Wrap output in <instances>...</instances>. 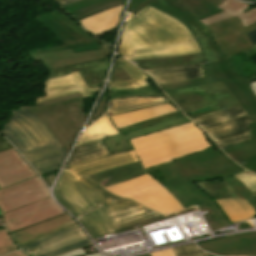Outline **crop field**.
I'll list each match as a JSON object with an SVG mask.
<instances>
[{
	"instance_id": "1",
	"label": "crop field",
	"mask_w": 256,
	"mask_h": 256,
	"mask_svg": "<svg viewBox=\"0 0 256 256\" xmlns=\"http://www.w3.org/2000/svg\"><path fill=\"white\" fill-rule=\"evenodd\" d=\"M137 160L139 159L132 150L75 165L63 171L54 196L75 218L104 205L78 220L92 239L115 231L119 233L134 229L131 226L115 230L109 216L142 206L114 196L86 176Z\"/></svg>"
},
{
	"instance_id": "2",
	"label": "crop field",
	"mask_w": 256,
	"mask_h": 256,
	"mask_svg": "<svg viewBox=\"0 0 256 256\" xmlns=\"http://www.w3.org/2000/svg\"><path fill=\"white\" fill-rule=\"evenodd\" d=\"M0 133L23 154L39 176L59 170L67 155L46 125L22 106Z\"/></svg>"
},
{
	"instance_id": "3",
	"label": "crop field",
	"mask_w": 256,
	"mask_h": 256,
	"mask_svg": "<svg viewBox=\"0 0 256 256\" xmlns=\"http://www.w3.org/2000/svg\"><path fill=\"white\" fill-rule=\"evenodd\" d=\"M145 169L214 147L195 124H185L129 140Z\"/></svg>"
},
{
	"instance_id": "4",
	"label": "crop field",
	"mask_w": 256,
	"mask_h": 256,
	"mask_svg": "<svg viewBox=\"0 0 256 256\" xmlns=\"http://www.w3.org/2000/svg\"><path fill=\"white\" fill-rule=\"evenodd\" d=\"M193 40L183 24L148 5L128 20L118 53L126 57L133 50Z\"/></svg>"
},
{
	"instance_id": "5",
	"label": "crop field",
	"mask_w": 256,
	"mask_h": 256,
	"mask_svg": "<svg viewBox=\"0 0 256 256\" xmlns=\"http://www.w3.org/2000/svg\"><path fill=\"white\" fill-rule=\"evenodd\" d=\"M204 76L208 82L222 81L227 89L239 101L243 109L251 117L253 123L248 124L254 138L221 149L237 162L256 154V97L251 92L249 79L235 75L228 67L227 61L202 64Z\"/></svg>"
},
{
	"instance_id": "6",
	"label": "crop field",
	"mask_w": 256,
	"mask_h": 256,
	"mask_svg": "<svg viewBox=\"0 0 256 256\" xmlns=\"http://www.w3.org/2000/svg\"><path fill=\"white\" fill-rule=\"evenodd\" d=\"M22 106L40 118L68 152L85 120L81 94L57 98L30 107L25 104Z\"/></svg>"
},
{
	"instance_id": "7",
	"label": "crop field",
	"mask_w": 256,
	"mask_h": 256,
	"mask_svg": "<svg viewBox=\"0 0 256 256\" xmlns=\"http://www.w3.org/2000/svg\"><path fill=\"white\" fill-rule=\"evenodd\" d=\"M166 93L183 113L191 119L239 106L238 101L225 88L222 82Z\"/></svg>"
},
{
	"instance_id": "8",
	"label": "crop field",
	"mask_w": 256,
	"mask_h": 256,
	"mask_svg": "<svg viewBox=\"0 0 256 256\" xmlns=\"http://www.w3.org/2000/svg\"><path fill=\"white\" fill-rule=\"evenodd\" d=\"M219 147L252 138L246 124L251 123L241 106L193 119Z\"/></svg>"
},
{
	"instance_id": "9",
	"label": "crop field",
	"mask_w": 256,
	"mask_h": 256,
	"mask_svg": "<svg viewBox=\"0 0 256 256\" xmlns=\"http://www.w3.org/2000/svg\"><path fill=\"white\" fill-rule=\"evenodd\" d=\"M106 189L117 196L134 200L164 215L182 209L167 190L148 174Z\"/></svg>"
},
{
	"instance_id": "10",
	"label": "crop field",
	"mask_w": 256,
	"mask_h": 256,
	"mask_svg": "<svg viewBox=\"0 0 256 256\" xmlns=\"http://www.w3.org/2000/svg\"><path fill=\"white\" fill-rule=\"evenodd\" d=\"M177 165L159 170L165 181L218 174L228 176L241 172L214 148L174 160Z\"/></svg>"
},
{
	"instance_id": "11",
	"label": "crop field",
	"mask_w": 256,
	"mask_h": 256,
	"mask_svg": "<svg viewBox=\"0 0 256 256\" xmlns=\"http://www.w3.org/2000/svg\"><path fill=\"white\" fill-rule=\"evenodd\" d=\"M93 245L76 224L36 241L20 245L28 256H60Z\"/></svg>"
},
{
	"instance_id": "12",
	"label": "crop field",
	"mask_w": 256,
	"mask_h": 256,
	"mask_svg": "<svg viewBox=\"0 0 256 256\" xmlns=\"http://www.w3.org/2000/svg\"><path fill=\"white\" fill-rule=\"evenodd\" d=\"M65 212L51 198H46L20 209L4 213L5 226L9 232L42 223Z\"/></svg>"
},
{
	"instance_id": "13",
	"label": "crop field",
	"mask_w": 256,
	"mask_h": 256,
	"mask_svg": "<svg viewBox=\"0 0 256 256\" xmlns=\"http://www.w3.org/2000/svg\"><path fill=\"white\" fill-rule=\"evenodd\" d=\"M207 27L215 44L226 55L227 59L252 46L238 18L233 17Z\"/></svg>"
},
{
	"instance_id": "14",
	"label": "crop field",
	"mask_w": 256,
	"mask_h": 256,
	"mask_svg": "<svg viewBox=\"0 0 256 256\" xmlns=\"http://www.w3.org/2000/svg\"><path fill=\"white\" fill-rule=\"evenodd\" d=\"M35 20L38 21L41 25H43L51 33H53L61 41L63 45L36 51H30L29 53L63 49H72L74 53H77L102 49L95 37H93L91 40L87 42L77 33L71 30L68 26L62 23L59 19L53 16L50 12L41 15Z\"/></svg>"
},
{
	"instance_id": "15",
	"label": "crop field",
	"mask_w": 256,
	"mask_h": 256,
	"mask_svg": "<svg viewBox=\"0 0 256 256\" xmlns=\"http://www.w3.org/2000/svg\"><path fill=\"white\" fill-rule=\"evenodd\" d=\"M37 176L13 146L0 136V189ZM1 213L0 210V216Z\"/></svg>"
},
{
	"instance_id": "16",
	"label": "crop field",
	"mask_w": 256,
	"mask_h": 256,
	"mask_svg": "<svg viewBox=\"0 0 256 256\" xmlns=\"http://www.w3.org/2000/svg\"><path fill=\"white\" fill-rule=\"evenodd\" d=\"M49 196L43 181L37 177L0 190V208L4 213Z\"/></svg>"
},
{
	"instance_id": "17",
	"label": "crop field",
	"mask_w": 256,
	"mask_h": 256,
	"mask_svg": "<svg viewBox=\"0 0 256 256\" xmlns=\"http://www.w3.org/2000/svg\"><path fill=\"white\" fill-rule=\"evenodd\" d=\"M168 192L185 208L193 205L208 207L213 213L208 218H215L219 227L223 228L231 225V222L216 204L205 192H203L194 183L172 186L166 188Z\"/></svg>"
},
{
	"instance_id": "18",
	"label": "crop field",
	"mask_w": 256,
	"mask_h": 256,
	"mask_svg": "<svg viewBox=\"0 0 256 256\" xmlns=\"http://www.w3.org/2000/svg\"><path fill=\"white\" fill-rule=\"evenodd\" d=\"M104 50L73 54L71 50L52 51L30 54L33 61L44 62L47 70L62 66L80 64L85 62L108 59L111 55L112 46L103 42L100 44Z\"/></svg>"
},
{
	"instance_id": "19",
	"label": "crop field",
	"mask_w": 256,
	"mask_h": 256,
	"mask_svg": "<svg viewBox=\"0 0 256 256\" xmlns=\"http://www.w3.org/2000/svg\"><path fill=\"white\" fill-rule=\"evenodd\" d=\"M199 247L220 256H256V233L202 243Z\"/></svg>"
},
{
	"instance_id": "20",
	"label": "crop field",
	"mask_w": 256,
	"mask_h": 256,
	"mask_svg": "<svg viewBox=\"0 0 256 256\" xmlns=\"http://www.w3.org/2000/svg\"><path fill=\"white\" fill-rule=\"evenodd\" d=\"M171 165H175L174 161L145 170L141 162L138 161L90 175L88 177L98 183L102 188H106Z\"/></svg>"
},
{
	"instance_id": "21",
	"label": "crop field",
	"mask_w": 256,
	"mask_h": 256,
	"mask_svg": "<svg viewBox=\"0 0 256 256\" xmlns=\"http://www.w3.org/2000/svg\"><path fill=\"white\" fill-rule=\"evenodd\" d=\"M108 64L109 59L48 70L46 80L69 75L72 72L80 71L88 89L101 87L102 83L105 80Z\"/></svg>"
},
{
	"instance_id": "22",
	"label": "crop field",
	"mask_w": 256,
	"mask_h": 256,
	"mask_svg": "<svg viewBox=\"0 0 256 256\" xmlns=\"http://www.w3.org/2000/svg\"><path fill=\"white\" fill-rule=\"evenodd\" d=\"M99 89L87 90L80 73L77 72L69 76L46 81L45 94L47 96L37 98L36 103L77 93H81L83 97H86L90 96L89 91Z\"/></svg>"
},
{
	"instance_id": "23",
	"label": "crop field",
	"mask_w": 256,
	"mask_h": 256,
	"mask_svg": "<svg viewBox=\"0 0 256 256\" xmlns=\"http://www.w3.org/2000/svg\"><path fill=\"white\" fill-rule=\"evenodd\" d=\"M76 224L68 214L51 219L42 224L10 233L15 242L20 245L44 237L54 231Z\"/></svg>"
},
{
	"instance_id": "24",
	"label": "crop field",
	"mask_w": 256,
	"mask_h": 256,
	"mask_svg": "<svg viewBox=\"0 0 256 256\" xmlns=\"http://www.w3.org/2000/svg\"><path fill=\"white\" fill-rule=\"evenodd\" d=\"M190 122L191 121L188 118L183 116V117H179V118H175V119L163 122V123L155 125V126L148 127L143 130L127 133V135L124 137L122 135H119L117 137L102 140V141L106 145V147L108 148V150L110 151L111 154L128 151V150L133 149L132 146L127 141L129 139L136 138V137L143 136V135L150 134V133H154L159 130L172 128V127H175V126H178L181 124L190 123Z\"/></svg>"
},
{
	"instance_id": "25",
	"label": "crop field",
	"mask_w": 256,
	"mask_h": 256,
	"mask_svg": "<svg viewBox=\"0 0 256 256\" xmlns=\"http://www.w3.org/2000/svg\"><path fill=\"white\" fill-rule=\"evenodd\" d=\"M217 204L232 222V224L244 220L254 219L256 215L252 206L236 192L215 199Z\"/></svg>"
},
{
	"instance_id": "26",
	"label": "crop field",
	"mask_w": 256,
	"mask_h": 256,
	"mask_svg": "<svg viewBox=\"0 0 256 256\" xmlns=\"http://www.w3.org/2000/svg\"><path fill=\"white\" fill-rule=\"evenodd\" d=\"M176 111L169 103L109 116L116 129Z\"/></svg>"
},
{
	"instance_id": "27",
	"label": "crop field",
	"mask_w": 256,
	"mask_h": 256,
	"mask_svg": "<svg viewBox=\"0 0 256 256\" xmlns=\"http://www.w3.org/2000/svg\"><path fill=\"white\" fill-rule=\"evenodd\" d=\"M195 184L198 185L213 199L236 191L240 195H242L256 210V193L253 194L252 192H250L247 188H245L238 180L234 179L232 176L222 180V183L211 184L208 181H205V182H197Z\"/></svg>"
},
{
	"instance_id": "28",
	"label": "crop field",
	"mask_w": 256,
	"mask_h": 256,
	"mask_svg": "<svg viewBox=\"0 0 256 256\" xmlns=\"http://www.w3.org/2000/svg\"><path fill=\"white\" fill-rule=\"evenodd\" d=\"M125 6V5H124ZM124 6L116 7L114 9H109L103 11L99 14L88 17L84 20L79 21L83 28L87 31L100 36L116 27L121 19V15Z\"/></svg>"
},
{
	"instance_id": "29",
	"label": "crop field",
	"mask_w": 256,
	"mask_h": 256,
	"mask_svg": "<svg viewBox=\"0 0 256 256\" xmlns=\"http://www.w3.org/2000/svg\"><path fill=\"white\" fill-rule=\"evenodd\" d=\"M198 52H200V50L196 42H192L134 51L133 56L127 57L126 59L133 61L141 59L165 58Z\"/></svg>"
},
{
	"instance_id": "30",
	"label": "crop field",
	"mask_w": 256,
	"mask_h": 256,
	"mask_svg": "<svg viewBox=\"0 0 256 256\" xmlns=\"http://www.w3.org/2000/svg\"><path fill=\"white\" fill-rule=\"evenodd\" d=\"M145 72L151 75L158 85L204 77L200 65L147 70Z\"/></svg>"
},
{
	"instance_id": "31",
	"label": "crop field",
	"mask_w": 256,
	"mask_h": 256,
	"mask_svg": "<svg viewBox=\"0 0 256 256\" xmlns=\"http://www.w3.org/2000/svg\"><path fill=\"white\" fill-rule=\"evenodd\" d=\"M246 6L247 4L245 3L237 2L234 0H226L220 6H218V8L224 10L225 12L202 20L200 23L207 26L212 23L235 16L240 18V21L244 27L249 26L256 22V9L245 14L240 12L242 9L246 8Z\"/></svg>"
},
{
	"instance_id": "32",
	"label": "crop field",
	"mask_w": 256,
	"mask_h": 256,
	"mask_svg": "<svg viewBox=\"0 0 256 256\" xmlns=\"http://www.w3.org/2000/svg\"><path fill=\"white\" fill-rule=\"evenodd\" d=\"M188 24L197 32L194 38L207 63L224 60L225 55L214 44L208 29L201 25L197 20L188 22Z\"/></svg>"
},
{
	"instance_id": "33",
	"label": "crop field",
	"mask_w": 256,
	"mask_h": 256,
	"mask_svg": "<svg viewBox=\"0 0 256 256\" xmlns=\"http://www.w3.org/2000/svg\"><path fill=\"white\" fill-rule=\"evenodd\" d=\"M142 70L165 68V67H176V66H188L206 63L202 54H191L185 56L171 57L165 59H154V60H142L132 62Z\"/></svg>"
},
{
	"instance_id": "34",
	"label": "crop field",
	"mask_w": 256,
	"mask_h": 256,
	"mask_svg": "<svg viewBox=\"0 0 256 256\" xmlns=\"http://www.w3.org/2000/svg\"><path fill=\"white\" fill-rule=\"evenodd\" d=\"M119 66H122L133 80L111 83L110 85L111 90L137 89V88L149 86L145 80L148 78L146 74L141 72L131 63L127 62L122 58H118L115 60V64L113 68L119 67Z\"/></svg>"
},
{
	"instance_id": "35",
	"label": "crop field",
	"mask_w": 256,
	"mask_h": 256,
	"mask_svg": "<svg viewBox=\"0 0 256 256\" xmlns=\"http://www.w3.org/2000/svg\"><path fill=\"white\" fill-rule=\"evenodd\" d=\"M109 155L107 148L102 141H96L89 144L75 147L71 157L66 164L65 168L75 164L86 162L89 160L97 159ZM64 168V169H65Z\"/></svg>"
},
{
	"instance_id": "36",
	"label": "crop field",
	"mask_w": 256,
	"mask_h": 256,
	"mask_svg": "<svg viewBox=\"0 0 256 256\" xmlns=\"http://www.w3.org/2000/svg\"><path fill=\"white\" fill-rule=\"evenodd\" d=\"M168 101L164 97L153 98H130V99H113L110 100L108 115L120 112L165 104Z\"/></svg>"
},
{
	"instance_id": "37",
	"label": "crop field",
	"mask_w": 256,
	"mask_h": 256,
	"mask_svg": "<svg viewBox=\"0 0 256 256\" xmlns=\"http://www.w3.org/2000/svg\"><path fill=\"white\" fill-rule=\"evenodd\" d=\"M116 135H118V132L106 114L84 131L78 145Z\"/></svg>"
},
{
	"instance_id": "38",
	"label": "crop field",
	"mask_w": 256,
	"mask_h": 256,
	"mask_svg": "<svg viewBox=\"0 0 256 256\" xmlns=\"http://www.w3.org/2000/svg\"><path fill=\"white\" fill-rule=\"evenodd\" d=\"M224 0H179L177 1L199 21L222 12L216 7Z\"/></svg>"
},
{
	"instance_id": "39",
	"label": "crop field",
	"mask_w": 256,
	"mask_h": 256,
	"mask_svg": "<svg viewBox=\"0 0 256 256\" xmlns=\"http://www.w3.org/2000/svg\"><path fill=\"white\" fill-rule=\"evenodd\" d=\"M158 216L161 215L142 207L127 213L111 216V219L114 223L115 228L118 229L134 225L144 220L152 219Z\"/></svg>"
},
{
	"instance_id": "40",
	"label": "crop field",
	"mask_w": 256,
	"mask_h": 256,
	"mask_svg": "<svg viewBox=\"0 0 256 256\" xmlns=\"http://www.w3.org/2000/svg\"><path fill=\"white\" fill-rule=\"evenodd\" d=\"M125 4V0H103L85 8L69 12L77 21L84 19L88 16L113 8L115 6Z\"/></svg>"
},
{
	"instance_id": "41",
	"label": "crop field",
	"mask_w": 256,
	"mask_h": 256,
	"mask_svg": "<svg viewBox=\"0 0 256 256\" xmlns=\"http://www.w3.org/2000/svg\"><path fill=\"white\" fill-rule=\"evenodd\" d=\"M149 5H151L155 9L179 20L188 28V30L192 33V35L196 34L195 31L186 23L188 21L195 20V18L188 11L183 9L182 6H180L178 3H176V2L172 3L163 9L152 4V3Z\"/></svg>"
},
{
	"instance_id": "42",
	"label": "crop field",
	"mask_w": 256,
	"mask_h": 256,
	"mask_svg": "<svg viewBox=\"0 0 256 256\" xmlns=\"http://www.w3.org/2000/svg\"><path fill=\"white\" fill-rule=\"evenodd\" d=\"M152 96H164L154 91L150 87L138 89V90H126V91H111L110 99L112 98H130V97H152Z\"/></svg>"
},
{
	"instance_id": "43",
	"label": "crop field",
	"mask_w": 256,
	"mask_h": 256,
	"mask_svg": "<svg viewBox=\"0 0 256 256\" xmlns=\"http://www.w3.org/2000/svg\"><path fill=\"white\" fill-rule=\"evenodd\" d=\"M179 116H183V114L180 111H177L175 113L169 114V115H165L159 118H155L152 120H148L146 122L140 123V124H136L127 128H123V129H119L118 132L119 134H124L127 132H131V131H135V130H139V129H143L146 128L148 126L154 125V124H158L161 123L163 121L175 118V117H179Z\"/></svg>"
},
{
	"instance_id": "44",
	"label": "crop field",
	"mask_w": 256,
	"mask_h": 256,
	"mask_svg": "<svg viewBox=\"0 0 256 256\" xmlns=\"http://www.w3.org/2000/svg\"><path fill=\"white\" fill-rule=\"evenodd\" d=\"M16 249H19V247L15 244V242L11 238L8 231L6 229L1 230L0 231V255Z\"/></svg>"
},
{
	"instance_id": "45",
	"label": "crop field",
	"mask_w": 256,
	"mask_h": 256,
	"mask_svg": "<svg viewBox=\"0 0 256 256\" xmlns=\"http://www.w3.org/2000/svg\"><path fill=\"white\" fill-rule=\"evenodd\" d=\"M51 13L55 15L57 18H59L62 22L68 25L71 29H73L75 32H77L80 36H82L87 41L92 38L91 36L88 35L87 32H85L86 30L84 31L81 26H78L77 24H75L73 21H71L69 18H67L57 9L52 11Z\"/></svg>"
},
{
	"instance_id": "46",
	"label": "crop field",
	"mask_w": 256,
	"mask_h": 256,
	"mask_svg": "<svg viewBox=\"0 0 256 256\" xmlns=\"http://www.w3.org/2000/svg\"><path fill=\"white\" fill-rule=\"evenodd\" d=\"M207 84L205 79H196V80H190V81H184L179 83H173V84H167V85H161L160 87L164 91L169 90H175V89H181V88H187V87H193V86H199V85H205Z\"/></svg>"
},
{
	"instance_id": "47",
	"label": "crop field",
	"mask_w": 256,
	"mask_h": 256,
	"mask_svg": "<svg viewBox=\"0 0 256 256\" xmlns=\"http://www.w3.org/2000/svg\"><path fill=\"white\" fill-rule=\"evenodd\" d=\"M173 251L175 252L176 256H207L206 253L201 251L194 244L174 248Z\"/></svg>"
},
{
	"instance_id": "48",
	"label": "crop field",
	"mask_w": 256,
	"mask_h": 256,
	"mask_svg": "<svg viewBox=\"0 0 256 256\" xmlns=\"http://www.w3.org/2000/svg\"><path fill=\"white\" fill-rule=\"evenodd\" d=\"M233 177L238 179L244 186H246L253 193L256 192V175L247 171L245 173L234 175Z\"/></svg>"
},
{
	"instance_id": "49",
	"label": "crop field",
	"mask_w": 256,
	"mask_h": 256,
	"mask_svg": "<svg viewBox=\"0 0 256 256\" xmlns=\"http://www.w3.org/2000/svg\"><path fill=\"white\" fill-rule=\"evenodd\" d=\"M131 79L129 75L124 71L122 67L115 68L112 70V74L110 77V82L121 81V80H129Z\"/></svg>"
},
{
	"instance_id": "50",
	"label": "crop field",
	"mask_w": 256,
	"mask_h": 256,
	"mask_svg": "<svg viewBox=\"0 0 256 256\" xmlns=\"http://www.w3.org/2000/svg\"><path fill=\"white\" fill-rule=\"evenodd\" d=\"M100 0H82V1H78L70 6L67 7H63V9H65L67 12L75 10V9H79L82 7H85L87 5H90L92 3L98 2Z\"/></svg>"
},
{
	"instance_id": "51",
	"label": "crop field",
	"mask_w": 256,
	"mask_h": 256,
	"mask_svg": "<svg viewBox=\"0 0 256 256\" xmlns=\"http://www.w3.org/2000/svg\"><path fill=\"white\" fill-rule=\"evenodd\" d=\"M244 163L242 164L241 161L237 162L246 169L256 173V155L245 160H242Z\"/></svg>"
},
{
	"instance_id": "52",
	"label": "crop field",
	"mask_w": 256,
	"mask_h": 256,
	"mask_svg": "<svg viewBox=\"0 0 256 256\" xmlns=\"http://www.w3.org/2000/svg\"><path fill=\"white\" fill-rule=\"evenodd\" d=\"M106 99L107 98L101 97L89 123L92 122L93 120H95L103 112V110L105 108Z\"/></svg>"
},
{
	"instance_id": "53",
	"label": "crop field",
	"mask_w": 256,
	"mask_h": 256,
	"mask_svg": "<svg viewBox=\"0 0 256 256\" xmlns=\"http://www.w3.org/2000/svg\"><path fill=\"white\" fill-rule=\"evenodd\" d=\"M223 177L222 174H218V175H210V176H202V177H194L192 178L193 182H197V181H205V180H211V179H218Z\"/></svg>"
},
{
	"instance_id": "54",
	"label": "crop field",
	"mask_w": 256,
	"mask_h": 256,
	"mask_svg": "<svg viewBox=\"0 0 256 256\" xmlns=\"http://www.w3.org/2000/svg\"><path fill=\"white\" fill-rule=\"evenodd\" d=\"M153 0H145L142 2L140 5L135 7L133 10H131L130 17L131 18L133 15H135L137 12H139L141 9H143L145 6H147L149 3H151Z\"/></svg>"
},
{
	"instance_id": "55",
	"label": "crop field",
	"mask_w": 256,
	"mask_h": 256,
	"mask_svg": "<svg viewBox=\"0 0 256 256\" xmlns=\"http://www.w3.org/2000/svg\"><path fill=\"white\" fill-rule=\"evenodd\" d=\"M151 256H175L172 249L151 253Z\"/></svg>"
},
{
	"instance_id": "56",
	"label": "crop field",
	"mask_w": 256,
	"mask_h": 256,
	"mask_svg": "<svg viewBox=\"0 0 256 256\" xmlns=\"http://www.w3.org/2000/svg\"><path fill=\"white\" fill-rule=\"evenodd\" d=\"M174 1H176V0H155L152 3H154V4H156V5H158V6L163 8L164 6L170 4V3L174 2Z\"/></svg>"
},
{
	"instance_id": "57",
	"label": "crop field",
	"mask_w": 256,
	"mask_h": 256,
	"mask_svg": "<svg viewBox=\"0 0 256 256\" xmlns=\"http://www.w3.org/2000/svg\"><path fill=\"white\" fill-rule=\"evenodd\" d=\"M83 255H86V254L83 249H80V250H75L71 253L65 254L63 256H83Z\"/></svg>"
},
{
	"instance_id": "58",
	"label": "crop field",
	"mask_w": 256,
	"mask_h": 256,
	"mask_svg": "<svg viewBox=\"0 0 256 256\" xmlns=\"http://www.w3.org/2000/svg\"><path fill=\"white\" fill-rule=\"evenodd\" d=\"M75 1H78V0H59V1H56L57 4H59L61 7L63 6H67Z\"/></svg>"
},
{
	"instance_id": "59",
	"label": "crop field",
	"mask_w": 256,
	"mask_h": 256,
	"mask_svg": "<svg viewBox=\"0 0 256 256\" xmlns=\"http://www.w3.org/2000/svg\"><path fill=\"white\" fill-rule=\"evenodd\" d=\"M245 52H246L248 58L252 57L253 55L256 54V45L247 49V50H245Z\"/></svg>"
},
{
	"instance_id": "60",
	"label": "crop field",
	"mask_w": 256,
	"mask_h": 256,
	"mask_svg": "<svg viewBox=\"0 0 256 256\" xmlns=\"http://www.w3.org/2000/svg\"><path fill=\"white\" fill-rule=\"evenodd\" d=\"M247 36L249 37V39L251 40L253 45H255L256 44V31H253V32L247 34Z\"/></svg>"
},
{
	"instance_id": "61",
	"label": "crop field",
	"mask_w": 256,
	"mask_h": 256,
	"mask_svg": "<svg viewBox=\"0 0 256 256\" xmlns=\"http://www.w3.org/2000/svg\"><path fill=\"white\" fill-rule=\"evenodd\" d=\"M3 256H26L22 251H15L8 254H5Z\"/></svg>"
},
{
	"instance_id": "62",
	"label": "crop field",
	"mask_w": 256,
	"mask_h": 256,
	"mask_svg": "<svg viewBox=\"0 0 256 256\" xmlns=\"http://www.w3.org/2000/svg\"><path fill=\"white\" fill-rule=\"evenodd\" d=\"M245 28H246L247 32L249 33V32H251V31L256 29V23L251 25V26H249V27H245Z\"/></svg>"
},
{
	"instance_id": "63",
	"label": "crop field",
	"mask_w": 256,
	"mask_h": 256,
	"mask_svg": "<svg viewBox=\"0 0 256 256\" xmlns=\"http://www.w3.org/2000/svg\"><path fill=\"white\" fill-rule=\"evenodd\" d=\"M142 1H144V0H133V1H132V9H133L135 6H137L138 4H140Z\"/></svg>"
},
{
	"instance_id": "64",
	"label": "crop field",
	"mask_w": 256,
	"mask_h": 256,
	"mask_svg": "<svg viewBox=\"0 0 256 256\" xmlns=\"http://www.w3.org/2000/svg\"><path fill=\"white\" fill-rule=\"evenodd\" d=\"M252 92L256 95V82L250 83Z\"/></svg>"
},
{
	"instance_id": "65",
	"label": "crop field",
	"mask_w": 256,
	"mask_h": 256,
	"mask_svg": "<svg viewBox=\"0 0 256 256\" xmlns=\"http://www.w3.org/2000/svg\"><path fill=\"white\" fill-rule=\"evenodd\" d=\"M47 178L49 179L50 183L52 184L55 179V176L49 175V176H47Z\"/></svg>"
},
{
	"instance_id": "66",
	"label": "crop field",
	"mask_w": 256,
	"mask_h": 256,
	"mask_svg": "<svg viewBox=\"0 0 256 256\" xmlns=\"http://www.w3.org/2000/svg\"><path fill=\"white\" fill-rule=\"evenodd\" d=\"M241 1L256 3V0H241Z\"/></svg>"
},
{
	"instance_id": "67",
	"label": "crop field",
	"mask_w": 256,
	"mask_h": 256,
	"mask_svg": "<svg viewBox=\"0 0 256 256\" xmlns=\"http://www.w3.org/2000/svg\"><path fill=\"white\" fill-rule=\"evenodd\" d=\"M90 256H100V254H96V255H90Z\"/></svg>"
},
{
	"instance_id": "68",
	"label": "crop field",
	"mask_w": 256,
	"mask_h": 256,
	"mask_svg": "<svg viewBox=\"0 0 256 256\" xmlns=\"http://www.w3.org/2000/svg\"><path fill=\"white\" fill-rule=\"evenodd\" d=\"M144 256H150V254H148V255H144Z\"/></svg>"
},
{
	"instance_id": "69",
	"label": "crop field",
	"mask_w": 256,
	"mask_h": 256,
	"mask_svg": "<svg viewBox=\"0 0 256 256\" xmlns=\"http://www.w3.org/2000/svg\"><path fill=\"white\" fill-rule=\"evenodd\" d=\"M208 256H213V255H210V254H207Z\"/></svg>"
},
{
	"instance_id": "70",
	"label": "crop field",
	"mask_w": 256,
	"mask_h": 256,
	"mask_svg": "<svg viewBox=\"0 0 256 256\" xmlns=\"http://www.w3.org/2000/svg\"><path fill=\"white\" fill-rule=\"evenodd\" d=\"M54 1H56V0H54Z\"/></svg>"
}]
</instances>
